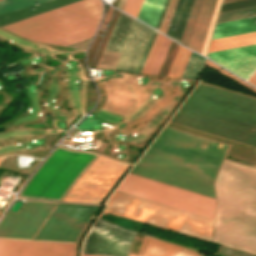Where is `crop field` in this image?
<instances>
[{
    "label": "crop field",
    "instance_id": "8a807250",
    "mask_svg": "<svg viewBox=\"0 0 256 256\" xmlns=\"http://www.w3.org/2000/svg\"><path fill=\"white\" fill-rule=\"evenodd\" d=\"M170 121L256 147V100L252 98L198 83ZM227 148L165 127L131 173L214 197L215 175ZM225 162L216 180L214 239L256 252V170ZM117 190L213 219V199L130 173ZM105 210L198 238H212L211 220L120 192L114 191ZM245 249L241 250L251 252Z\"/></svg>",
    "mask_w": 256,
    "mask_h": 256
},
{
    "label": "crop field",
    "instance_id": "ac0d7876",
    "mask_svg": "<svg viewBox=\"0 0 256 256\" xmlns=\"http://www.w3.org/2000/svg\"><path fill=\"white\" fill-rule=\"evenodd\" d=\"M54 205L27 201L18 214L8 212L0 224V237L32 239ZM96 209L59 204L35 239L74 242ZM76 247L71 244L0 240V256H75Z\"/></svg>",
    "mask_w": 256,
    "mask_h": 256
},
{
    "label": "crop field",
    "instance_id": "34b2d1b8",
    "mask_svg": "<svg viewBox=\"0 0 256 256\" xmlns=\"http://www.w3.org/2000/svg\"><path fill=\"white\" fill-rule=\"evenodd\" d=\"M101 12L100 0H82L1 28L31 40L66 46L91 37Z\"/></svg>",
    "mask_w": 256,
    "mask_h": 256
},
{
    "label": "crop field",
    "instance_id": "412701ff",
    "mask_svg": "<svg viewBox=\"0 0 256 256\" xmlns=\"http://www.w3.org/2000/svg\"><path fill=\"white\" fill-rule=\"evenodd\" d=\"M95 155L59 146L36 172L20 196L61 199Z\"/></svg>",
    "mask_w": 256,
    "mask_h": 256
},
{
    "label": "crop field",
    "instance_id": "f4fd0767",
    "mask_svg": "<svg viewBox=\"0 0 256 256\" xmlns=\"http://www.w3.org/2000/svg\"><path fill=\"white\" fill-rule=\"evenodd\" d=\"M126 167L99 155L64 200L100 203Z\"/></svg>",
    "mask_w": 256,
    "mask_h": 256
},
{
    "label": "crop field",
    "instance_id": "dd49c442",
    "mask_svg": "<svg viewBox=\"0 0 256 256\" xmlns=\"http://www.w3.org/2000/svg\"><path fill=\"white\" fill-rule=\"evenodd\" d=\"M97 218L84 240L81 253L104 256H127L134 231Z\"/></svg>",
    "mask_w": 256,
    "mask_h": 256
},
{
    "label": "crop field",
    "instance_id": "e52e79f7",
    "mask_svg": "<svg viewBox=\"0 0 256 256\" xmlns=\"http://www.w3.org/2000/svg\"><path fill=\"white\" fill-rule=\"evenodd\" d=\"M207 57L245 80L256 69V45L210 52Z\"/></svg>",
    "mask_w": 256,
    "mask_h": 256
},
{
    "label": "crop field",
    "instance_id": "d8731c3e",
    "mask_svg": "<svg viewBox=\"0 0 256 256\" xmlns=\"http://www.w3.org/2000/svg\"><path fill=\"white\" fill-rule=\"evenodd\" d=\"M138 256H202L192 250L144 237Z\"/></svg>",
    "mask_w": 256,
    "mask_h": 256
},
{
    "label": "crop field",
    "instance_id": "5a996713",
    "mask_svg": "<svg viewBox=\"0 0 256 256\" xmlns=\"http://www.w3.org/2000/svg\"><path fill=\"white\" fill-rule=\"evenodd\" d=\"M217 0H204L189 46L190 48L201 52L202 45L207 33V29L212 17V13Z\"/></svg>",
    "mask_w": 256,
    "mask_h": 256
},
{
    "label": "crop field",
    "instance_id": "3316defc",
    "mask_svg": "<svg viewBox=\"0 0 256 256\" xmlns=\"http://www.w3.org/2000/svg\"><path fill=\"white\" fill-rule=\"evenodd\" d=\"M76 1H79V0H50L41 4H37L35 6L32 5L33 7L2 14L0 15V26L42 13L45 11H49V10H52ZM33 8L35 9L33 10Z\"/></svg>",
    "mask_w": 256,
    "mask_h": 256
},
{
    "label": "crop field",
    "instance_id": "28ad6ade",
    "mask_svg": "<svg viewBox=\"0 0 256 256\" xmlns=\"http://www.w3.org/2000/svg\"><path fill=\"white\" fill-rule=\"evenodd\" d=\"M134 19L120 13L105 50L121 52Z\"/></svg>",
    "mask_w": 256,
    "mask_h": 256
},
{
    "label": "crop field",
    "instance_id": "d1516ede",
    "mask_svg": "<svg viewBox=\"0 0 256 256\" xmlns=\"http://www.w3.org/2000/svg\"><path fill=\"white\" fill-rule=\"evenodd\" d=\"M256 31V17L224 23H218L215 26L213 38L237 35Z\"/></svg>",
    "mask_w": 256,
    "mask_h": 256
},
{
    "label": "crop field",
    "instance_id": "22f410ed",
    "mask_svg": "<svg viewBox=\"0 0 256 256\" xmlns=\"http://www.w3.org/2000/svg\"><path fill=\"white\" fill-rule=\"evenodd\" d=\"M251 44H256V32L214 39L211 41L208 52Z\"/></svg>",
    "mask_w": 256,
    "mask_h": 256
},
{
    "label": "crop field",
    "instance_id": "cbeb9de0",
    "mask_svg": "<svg viewBox=\"0 0 256 256\" xmlns=\"http://www.w3.org/2000/svg\"><path fill=\"white\" fill-rule=\"evenodd\" d=\"M166 0H144L138 19L156 27Z\"/></svg>",
    "mask_w": 256,
    "mask_h": 256
},
{
    "label": "crop field",
    "instance_id": "5142ce71",
    "mask_svg": "<svg viewBox=\"0 0 256 256\" xmlns=\"http://www.w3.org/2000/svg\"><path fill=\"white\" fill-rule=\"evenodd\" d=\"M203 0H194L180 43L188 46Z\"/></svg>",
    "mask_w": 256,
    "mask_h": 256
},
{
    "label": "crop field",
    "instance_id": "d9b57169",
    "mask_svg": "<svg viewBox=\"0 0 256 256\" xmlns=\"http://www.w3.org/2000/svg\"><path fill=\"white\" fill-rule=\"evenodd\" d=\"M204 61V58L194 53H191L180 77L196 79L198 73L200 72L204 64Z\"/></svg>",
    "mask_w": 256,
    "mask_h": 256
},
{
    "label": "crop field",
    "instance_id": "733c2abd",
    "mask_svg": "<svg viewBox=\"0 0 256 256\" xmlns=\"http://www.w3.org/2000/svg\"><path fill=\"white\" fill-rule=\"evenodd\" d=\"M45 0H1L0 14L35 5Z\"/></svg>",
    "mask_w": 256,
    "mask_h": 256
},
{
    "label": "crop field",
    "instance_id": "4a817a6b",
    "mask_svg": "<svg viewBox=\"0 0 256 256\" xmlns=\"http://www.w3.org/2000/svg\"><path fill=\"white\" fill-rule=\"evenodd\" d=\"M192 3L193 0H185L184 5L182 7L181 13L175 26L176 30L174 31V34L172 36V38H174L177 41H180Z\"/></svg>",
    "mask_w": 256,
    "mask_h": 256
},
{
    "label": "crop field",
    "instance_id": "bc2a9ffb",
    "mask_svg": "<svg viewBox=\"0 0 256 256\" xmlns=\"http://www.w3.org/2000/svg\"><path fill=\"white\" fill-rule=\"evenodd\" d=\"M163 38H164V36H162L160 34H157L156 39L153 43V46L151 48V51L148 55V58L146 60V63L144 65L143 70H142L141 73H147V74L149 73V71H150V69L153 65V62H154V60H155V58L158 54V51H159V48L161 46Z\"/></svg>",
    "mask_w": 256,
    "mask_h": 256
},
{
    "label": "crop field",
    "instance_id": "214f88e0",
    "mask_svg": "<svg viewBox=\"0 0 256 256\" xmlns=\"http://www.w3.org/2000/svg\"><path fill=\"white\" fill-rule=\"evenodd\" d=\"M187 51H188L187 49H185L181 46L179 47L177 54L175 56V59L172 63V66H171L170 71L167 76H170V77L176 76Z\"/></svg>",
    "mask_w": 256,
    "mask_h": 256
},
{
    "label": "crop field",
    "instance_id": "92a150f3",
    "mask_svg": "<svg viewBox=\"0 0 256 256\" xmlns=\"http://www.w3.org/2000/svg\"><path fill=\"white\" fill-rule=\"evenodd\" d=\"M170 42H171V40H169L167 38H164V41L162 43L161 49L159 51V54H158V56H157V58H156V60L154 62V65H153V67H152V69H151L149 74H153V75L157 74V72L159 70V67H160V65L162 63V60H163V58L165 56V53H166V51L168 49V46H169Z\"/></svg>",
    "mask_w": 256,
    "mask_h": 256
},
{
    "label": "crop field",
    "instance_id": "dafd665d",
    "mask_svg": "<svg viewBox=\"0 0 256 256\" xmlns=\"http://www.w3.org/2000/svg\"><path fill=\"white\" fill-rule=\"evenodd\" d=\"M251 6H256V0H246V1L230 3V4H224L222 5L220 12L239 9V8H245V7H251Z\"/></svg>",
    "mask_w": 256,
    "mask_h": 256
},
{
    "label": "crop field",
    "instance_id": "00972430",
    "mask_svg": "<svg viewBox=\"0 0 256 256\" xmlns=\"http://www.w3.org/2000/svg\"><path fill=\"white\" fill-rule=\"evenodd\" d=\"M143 0H128L123 11L128 14L137 17L140 7L142 5Z\"/></svg>",
    "mask_w": 256,
    "mask_h": 256
},
{
    "label": "crop field",
    "instance_id": "a9b5d70f",
    "mask_svg": "<svg viewBox=\"0 0 256 256\" xmlns=\"http://www.w3.org/2000/svg\"><path fill=\"white\" fill-rule=\"evenodd\" d=\"M143 237H144L143 234L135 233V236H134V239H133V242H132V246H131V249H130V252H129L128 256H137L138 255ZM81 256H94V255L81 254Z\"/></svg>",
    "mask_w": 256,
    "mask_h": 256
},
{
    "label": "crop field",
    "instance_id": "4177f3b9",
    "mask_svg": "<svg viewBox=\"0 0 256 256\" xmlns=\"http://www.w3.org/2000/svg\"><path fill=\"white\" fill-rule=\"evenodd\" d=\"M177 0H170V3L168 5L167 11L165 13L164 19L162 21L161 27L159 31L166 33V29L168 26L169 19L171 18L172 12L174 10L175 4Z\"/></svg>",
    "mask_w": 256,
    "mask_h": 256
},
{
    "label": "crop field",
    "instance_id": "730fd06b",
    "mask_svg": "<svg viewBox=\"0 0 256 256\" xmlns=\"http://www.w3.org/2000/svg\"><path fill=\"white\" fill-rule=\"evenodd\" d=\"M183 1H184V0H178V1H177V4H176L175 10H174V13H173L172 18H171L172 21L169 22V26H168L167 33H166V34L169 35V36H172V33H173V31H174L173 28H174L175 23H176V21H177V18H178L180 9H181L182 4H183ZM170 24H172V25H170Z\"/></svg>",
    "mask_w": 256,
    "mask_h": 256
},
{
    "label": "crop field",
    "instance_id": "eef30255",
    "mask_svg": "<svg viewBox=\"0 0 256 256\" xmlns=\"http://www.w3.org/2000/svg\"><path fill=\"white\" fill-rule=\"evenodd\" d=\"M206 64L209 65V66H211V67H213V68H215L216 70H218V71L221 72L222 74L226 75V76L229 77L230 79H232V80H234V81H236V82H238V83H241V84H243V85H245V86L251 88L252 90L256 91L255 88H253V87L247 85L246 83L242 82L241 80H239L238 78L234 77L233 75H231L230 73L226 72L225 70L221 69L220 67L216 66L215 64H213V63H211V62H209V61H206Z\"/></svg>",
    "mask_w": 256,
    "mask_h": 256
},
{
    "label": "crop field",
    "instance_id": "ae1a2a85",
    "mask_svg": "<svg viewBox=\"0 0 256 256\" xmlns=\"http://www.w3.org/2000/svg\"><path fill=\"white\" fill-rule=\"evenodd\" d=\"M153 32H154L153 30H150V32H149V35H148L147 40H146V42H145V44H144V47H143V49H142L141 55H140V57H139V60H138V63H137V66H136L134 72H137L138 69H139V66H140L141 61H142V59H143V57H144V54H145V52H146V49H147V47H148V44H149V42H150V39H151V37H152Z\"/></svg>",
    "mask_w": 256,
    "mask_h": 256
},
{
    "label": "crop field",
    "instance_id": "d3111659",
    "mask_svg": "<svg viewBox=\"0 0 256 256\" xmlns=\"http://www.w3.org/2000/svg\"><path fill=\"white\" fill-rule=\"evenodd\" d=\"M113 10H114L113 8L108 7V10H107L106 16H105V18H104V20H103L101 29H105V25L108 24L109 19H110L111 15H112Z\"/></svg>",
    "mask_w": 256,
    "mask_h": 256
},
{
    "label": "crop field",
    "instance_id": "750c4746",
    "mask_svg": "<svg viewBox=\"0 0 256 256\" xmlns=\"http://www.w3.org/2000/svg\"><path fill=\"white\" fill-rule=\"evenodd\" d=\"M156 34H157V32H154L153 37H152V39H151V42H150V44H149V47H148V49H147V52H146V54H145V57H144V59H143V62H142L141 66H140V69H139V71H138L139 73H140L141 70H142V67H143V65H144V63H145V60H146V58H147V55H148V53H149V50H150V48H151V46H152V43H153V41H154V38H155Z\"/></svg>",
    "mask_w": 256,
    "mask_h": 256
},
{
    "label": "crop field",
    "instance_id": "bd1437ed",
    "mask_svg": "<svg viewBox=\"0 0 256 256\" xmlns=\"http://www.w3.org/2000/svg\"><path fill=\"white\" fill-rule=\"evenodd\" d=\"M168 3H169V0H167L166 3H165L164 9H163V11H162V14H161V17H160V19H159V22H158V25H157L156 29H159V27H160V24H161V21H162V19H163V16H164V13H165V11H166V8H167Z\"/></svg>",
    "mask_w": 256,
    "mask_h": 256
},
{
    "label": "crop field",
    "instance_id": "1d83c4d3",
    "mask_svg": "<svg viewBox=\"0 0 256 256\" xmlns=\"http://www.w3.org/2000/svg\"><path fill=\"white\" fill-rule=\"evenodd\" d=\"M190 53H191V51H188V53H187V55H186V57H185V59H184V61H183V64H182V66H181V68H180V70H179V72H178V74H177L176 77H179V76H180V74H181V72H182V70H183V68H184V66H185V63H186V61H187V59H188Z\"/></svg>",
    "mask_w": 256,
    "mask_h": 256
},
{
    "label": "crop field",
    "instance_id": "120bbe31",
    "mask_svg": "<svg viewBox=\"0 0 256 256\" xmlns=\"http://www.w3.org/2000/svg\"><path fill=\"white\" fill-rule=\"evenodd\" d=\"M250 79H252L253 81H255V82H256V72L254 73V75H253ZM250 79H249L248 81L256 85V83H255V82H253V81H252V80H250Z\"/></svg>",
    "mask_w": 256,
    "mask_h": 256
},
{
    "label": "crop field",
    "instance_id": "d32e631a",
    "mask_svg": "<svg viewBox=\"0 0 256 256\" xmlns=\"http://www.w3.org/2000/svg\"><path fill=\"white\" fill-rule=\"evenodd\" d=\"M235 1H240V0H225V1H223L222 4H224V3H230V2H235Z\"/></svg>",
    "mask_w": 256,
    "mask_h": 256
},
{
    "label": "crop field",
    "instance_id": "5866460e",
    "mask_svg": "<svg viewBox=\"0 0 256 256\" xmlns=\"http://www.w3.org/2000/svg\"><path fill=\"white\" fill-rule=\"evenodd\" d=\"M3 159H4V157H3V158H0V163L2 162Z\"/></svg>",
    "mask_w": 256,
    "mask_h": 256
}]
</instances>
